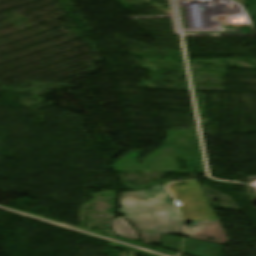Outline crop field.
Returning <instances> with one entry per match:
<instances>
[{"instance_id": "8a807250", "label": "crop field", "mask_w": 256, "mask_h": 256, "mask_svg": "<svg viewBox=\"0 0 256 256\" xmlns=\"http://www.w3.org/2000/svg\"><path fill=\"white\" fill-rule=\"evenodd\" d=\"M171 195L166 189L121 193L118 213L140 231L144 243H160L161 234H182L183 224ZM120 237L136 240L135 230L123 217L111 221ZM141 238V239H142Z\"/></svg>"}, {"instance_id": "34b2d1b8", "label": "crop field", "mask_w": 256, "mask_h": 256, "mask_svg": "<svg viewBox=\"0 0 256 256\" xmlns=\"http://www.w3.org/2000/svg\"><path fill=\"white\" fill-rule=\"evenodd\" d=\"M194 246H198V248H194ZM193 250L197 252L195 253ZM221 250V245L185 239L182 252L190 256H220Z\"/></svg>"}, {"instance_id": "f4fd0767", "label": "crop field", "mask_w": 256, "mask_h": 256, "mask_svg": "<svg viewBox=\"0 0 256 256\" xmlns=\"http://www.w3.org/2000/svg\"><path fill=\"white\" fill-rule=\"evenodd\" d=\"M128 255H129V256H136V254H131V253H129Z\"/></svg>"}, {"instance_id": "412701ff", "label": "crop field", "mask_w": 256, "mask_h": 256, "mask_svg": "<svg viewBox=\"0 0 256 256\" xmlns=\"http://www.w3.org/2000/svg\"><path fill=\"white\" fill-rule=\"evenodd\" d=\"M180 245H181L180 238H177L174 236H168V235L162 236L161 246L179 252Z\"/></svg>"}, {"instance_id": "ac0d7876", "label": "crop field", "mask_w": 256, "mask_h": 256, "mask_svg": "<svg viewBox=\"0 0 256 256\" xmlns=\"http://www.w3.org/2000/svg\"><path fill=\"white\" fill-rule=\"evenodd\" d=\"M185 236L211 243L224 244L229 241L218 220L197 221L185 226Z\"/></svg>"}]
</instances>
